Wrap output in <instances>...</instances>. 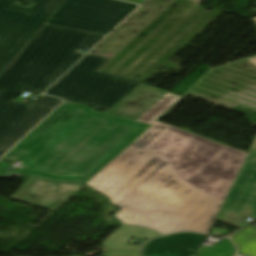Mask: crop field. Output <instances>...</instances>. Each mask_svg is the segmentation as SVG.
Returning <instances> with one entry per match:
<instances>
[{
  "label": "crop field",
  "mask_w": 256,
  "mask_h": 256,
  "mask_svg": "<svg viewBox=\"0 0 256 256\" xmlns=\"http://www.w3.org/2000/svg\"><path fill=\"white\" fill-rule=\"evenodd\" d=\"M135 8L116 0H66L47 23L105 35Z\"/></svg>",
  "instance_id": "crop-field-7"
},
{
  "label": "crop field",
  "mask_w": 256,
  "mask_h": 256,
  "mask_svg": "<svg viewBox=\"0 0 256 256\" xmlns=\"http://www.w3.org/2000/svg\"><path fill=\"white\" fill-rule=\"evenodd\" d=\"M256 20V18H254Z\"/></svg>",
  "instance_id": "crop-field-19"
},
{
  "label": "crop field",
  "mask_w": 256,
  "mask_h": 256,
  "mask_svg": "<svg viewBox=\"0 0 256 256\" xmlns=\"http://www.w3.org/2000/svg\"><path fill=\"white\" fill-rule=\"evenodd\" d=\"M159 234L142 229L140 227L120 226L109 237L103 241L106 247H129L140 248L141 245H125L131 237L147 239ZM153 238V237H152Z\"/></svg>",
  "instance_id": "crop-field-12"
},
{
  "label": "crop field",
  "mask_w": 256,
  "mask_h": 256,
  "mask_svg": "<svg viewBox=\"0 0 256 256\" xmlns=\"http://www.w3.org/2000/svg\"><path fill=\"white\" fill-rule=\"evenodd\" d=\"M193 1L197 5L201 0H193Z\"/></svg>",
  "instance_id": "crop-field-18"
},
{
  "label": "crop field",
  "mask_w": 256,
  "mask_h": 256,
  "mask_svg": "<svg viewBox=\"0 0 256 256\" xmlns=\"http://www.w3.org/2000/svg\"><path fill=\"white\" fill-rule=\"evenodd\" d=\"M234 252L233 245L227 239L211 248L199 250L197 256H232Z\"/></svg>",
  "instance_id": "crop-field-14"
},
{
  "label": "crop field",
  "mask_w": 256,
  "mask_h": 256,
  "mask_svg": "<svg viewBox=\"0 0 256 256\" xmlns=\"http://www.w3.org/2000/svg\"><path fill=\"white\" fill-rule=\"evenodd\" d=\"M0 0V73L48 21L65 0Z\"/></svg>",
  "instance_id": "crop-field-6"
},
{
  "label": "crop field",
  "mask_w": 256,
  "mask_h": 256,
  "mask_svg": "<svg viewBox=\"0 0 256 256\" xmlns=\"http://www.w3.org/2000/svg\"><path fill=\"white\" fill-rule=\"evenodd\" d=\"M179 99L167 93L137 118L152 125L87 185L124 206L115 213L124 224L208 234L222 202L183 184L164 157L148 151L173 128L155 120Z\"/></svg>",
  "instance_id": "crop-field-1"
},
{
  "label": "crop field",
  "mask_w": 256,
  "mask_h": 256,
  "mask_svg": "<svg viewBox=\"0 0 256 256\" xmlns=\"http://www.w3.org/2000/svg\"><path fill=\"white\" fill-rule=\"evenodd\" d=\"M28 180L10 198L56 210L84 185L80 182H55L33 175H21Z\"/></svg>",
  "instance_id": "crop-field-9"
},
{
  "label": "crop field",
  "mask_w": 256,
  "mask_h": 256,
  "mask_svg": "<svg viewBox=\"0 0 256 256\" xmlns=\"http://www.w3.org/2000/svg\"><path fill=\"white\" fill-rule=\"evenodd\" d=\"M248 61H250L252 64H254L256 66V57L248 59Z\"/></svg>",
  "instance_id": "crop-field-16"
},
{
  "label": "crop field",
  "mask_w": 256,
  "mask_h": 256,
  "mask_svg": "<svg viewBox=\"0 0 256 256\" xmlns=\"http://www.w3.org/2000/svg\"><path fill=\"white\" fill-rule=\"evenodd\" d=\"M102 37L45 24L0 74V156L61 102L44 95L29 105L12 100L23 88L41 93L84 55L80 48Z\"/></svg>",
  "instance_id": "crop-field-3"
},
{
  "label": "crop field",
  "mask_w": 256,
  "mask_h": 256,
  "mask_svg": "<svg viewBox=\"0 0 256 256\" xmlns=\"http://www.w3.org/2000/svg\"><path fill=\"white\" fill-rule=\"evenodd\" d=\"M166 93L140 83L107 113L135 120Z\"/></svg>",
  "instance_id": "crop-field-11"
},
{
  "label": "crop field",
  "mask_w": 256,
  "mask_h": 256,
  "mask_svg": "<svg viewBox=\"0 0 256 256\" xmlns=\"http://www.w3.org/2000/svg\"><path fill=\"white\" fill-rule=\"evenodd\" d=\"M108 59L88 54L46 94L108 111L139 82L96 71Z\"/></svg>",
  "instance_id": "crop-field-5"
},
{
  "label": "crop field",
  "mask_w": 256,
  "mask_h": 256,
  "mask_svg": "<svg viewBox=\"0 0 256 256\" xmlns=\"http://www.w3.org/2000/svg\"><path fill=\"white\" fill-rule=\"evenodd\" d=\"M233 214L256 219V137L216 219L240 228Z\"/></svg>",
  "instance_id": "crop-field-8"
},
{
  "label": "crop field",
  "mask_w": 256,
  "mask_h": 256,
  "mask_svg": "<svg viewBox=\"0 0 256 256\" xmlns=\"http://www.w3.org/2000/svg\"><path fill=\"white\" fill-rule=\"evenodd\" d=\"M204 238L203 235L182 233L153 239L143 247V256H190L200 248Z\"/></svg>",
  "instance_id": "crop-field-10"
},
{
  "label": "crop field",
  "mask_w": 256,
  "mask_h": 256,
  "mask_svg": "<svg viewBox=\"0 0 256 256\" xmlns=\"http://www.w3.org/2000/svg\"><path fill=\"white\" fill-rule=\"evenodd\" d=\"M150 151L185 184L224 201L246 154L173 128Z\"/></svg>",
  "instance_id": "crop-field-4"
},
{
  "label": "crop field",
  "mask_w": 256,
  "mask_h": 256,
  "mask_svg": "<svg viewBox=\"0 0 256 256\" xmlns=\"http://www.w3.org/2000/svg\"><path fill=\"white\" fill-rule=\"evenodd\" d=\"M126 1H131V2H136V3H142L144 0H126Z\"/></svg>",
  "instance_id": "crop-field-17"
},
{
  "label": "crop field",
  "mask_w": 256,
  "mask_h": 256,
  "mask_svg": "<svg viewBox=\"0 0 256 256\" xmlns=\"http://www.w3.org/2000/svg\"><path fill=\"white\" fill-rule=\"evenodd\" d=\"M147 126L64 101L1 161H23L19 173L86 182Z\"/></svg>",
  "instance_id": "crop-field-2"
},
{
  "label": "crop field",
  "mask_w": 256,
  "mask_h": 256,
  "mask_svg": "<svg viewBox=\"0 0 256 256\" xmlns=\"http://www.w3.org/2000/svg\"><path fill=\"white\" fill-rule=\"evenodd\" d=\"M107 256H139V250L108 249Z\"/></svg>",
  "instance_id": "crop-field-15"
},
{
  "label": "crop field",
  "mask_w": 256,
  "mask_h": 256,
  "mask_svg": "<svg viewBox=\"0 0 256 256\" xmlns=\"http://www.w3.org/2000/svg\"><path fill=\"white\" fill-rule=\"evenodd\" d=\"M231 238L239 248V253L246 256H256V228L249 226Z\"/></svg>",
  "instance_id": "crop-field-13"
}]
</instances>
